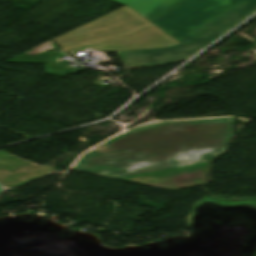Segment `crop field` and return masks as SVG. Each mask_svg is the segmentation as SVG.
Instances as JSON below:
<instances>
[{
  "instance_id": "obj_1",
  "label": "crop field",
  "mask_w": 256,
  "mask_h": 256,
  "mask_svg": "<svg viewBox=\"0 0 256 256\" xmlns=\"http://www.w3.org/2000/svg\"><path fill=\"white\" fill-rule=\"evenodd\" d=\"M231 136V117L151 123L88 151L72 169L167 189L204 184L208 161Z\"/></svg>"
},
{
  "instance_id": "obj_2",
  "label": "crop field",
  "mask_w": 256,
  "mask_h": 256,
  "mask_svg": "<svg viewBox=\"0 0 256 256\" xmlns=\"http://www.w3.org/2000/svg\"><path fill=\"white\" fill-rule=\"evenodd\" d=\"M255 11L256 0H186L153 22L180 44L117 54L125 69L184 61Z\"/></svg>"
},
{
  "instance_id": "obj_3",
  "label": "crop field",
  "mask_w": 256,
  "mask_h": 256,
  "mask_svg": "<svg viewBox=\"0 0 256 256\" xmlns=\"http://www.w3.org/2000/svg\"><path fill=\"white\" fill-rule=\"evenodd\" d=\"M152 23L128 6L69 31L53 41L61 48L133 33Z\"/></svg>"
},
{
  "instance_id": "obj_4",
  "label": "crop field",
  "mask_w": 256,
  "mask_h": 256,
  "mask_svg": "<svg viewBox=\"0 0 256 256\" xmlns=\"http://www.w3.org/2000/svg\"><path fill=\"white\" fill-rule=\"evenodd\" d=\"M178 43L172 37L152 25L131 36L99 42L91 45L65 50L70 56H77L75 52L96 49L105 51H125L148 48L166 47Z\"/></svg>"
},
{
  "instance_id": "obj_5",
  "label": "crop field",
  "mask_w": 256,
  "mask_h": 256,
  "mask_svg": "<svg viewBox=\"0 0 256 256\" xmlns=\"http://www.w3.org/2000/svg\"><path fill=\"white\" fill-rule=\"evenodd\" d=\"M53 168L27 162L4 150H0V183L5 187H17L42 176Z\"/></svg>"
},
{
  "instance_id": "obj_6",
  "label": "crop field",
  "mask_w": 256,
  "mask_h": 256,
  "mask_svg": "<svg viewBox=\"0 0 256 256\" xmlns=\"http://www.w3.org/2000/svg\"><path fill=\"white\" fill-rule=\"evenodd\" d=\"M128 5L150 22L183 0H110Z\"/></svg>"
},
{
  "instance_id": "obj_7",
  "label": "crop field",
  "mask_w": 256,
  "mask_h": 256,
  "mask_svg": "<svg viewBox=\"0 0 256 256\" xmlns=\"http://www.w3.org/2000/svg\"><path fill=\"white\" fill-rule=\"evenodd\" d=\"M53 46L47 45V46H43V47H39V49L44 50V49H48V48H52ZM24 58H32V59H46V58H42V57H31V56H26ZM28 62H43V61H28Z\"/></svg>"
},
{
  "instance_id": "obj_8",
  "label": "crop field",
  "mask_w": 256,
  "mask_h": 256,
  "mask_svg": "<svg viewBox=\"0 0 256 256\" xmlns=\"http://www.w3.org/2000/svg\"><path fill=\"white\" fill-rule=\"evenodd\" d=\"M66 55H67V54H65V53H61V54L59 53V56H60V57L66 56Z\"/></svg>"
},
{
  "instance_id": "obj_9",
  "label": "crop field",
  "mask_w": 256,
  "mask_h": 256,
  "mask_svg": "<svg viewBox=\"0 0 256 256\" xmlns=\"http://www.w3.org/2000/svg\"><path fill=\"white\" fill-rule=\"evenodd\" d=\"M0 191H1V186H0Z\"/></svg>"
}]
</instances>
